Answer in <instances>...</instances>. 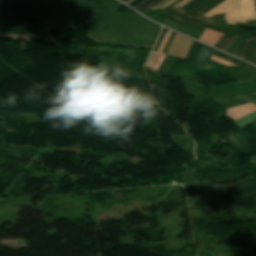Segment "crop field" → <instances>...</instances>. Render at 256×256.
<instances>
[{"label":"crop field","mask_w":256,"mask_h":256,"mask_svg":"<svg viewBox=\"0 0 256 256\" xmlns=\"http://www.w3.org/2000/svg\"><path fill=\"white\" fill-rule=\"evenodd\" d=\"M0 10L35 13L27 0H0ZM0 11V38L57 42L37 14Z\"/></svg>","instance_id":"crop-field-2"},{"label":"crop field","mask_w":256,"mask_h":256,"mask_svg":"<svg viewBox=\"0 0 256 256\" xmlns=\"http://www.w3.org/2000/svg\"><path fill=\"white\" fill-rule=\"evenodd\" d=\"M211 50H212L211 48L201 45L193 63H195L197 66H199L201 68H204V66L210 56Z\"/></svg>","instance_id":"crop-field-10"},{"label":"crop field","mask_w":256,"mask_h":256,"mask_svg":"<svg viewBox=\"0 0 256 256\" xmlns=\"http://www.w3.org/2000/svg\"><path fill=\"white\" fill-rule=\"evenodd\" d=\"M234 38H235V37H234V36H232V37H231V39L226 43V45L223 47V49H222V50H224V51H225V50L228 48V46L231 44V42L234 40Z\"/></svg>","instance_id":"crop-field-23"},{"label":"crop field","mask_w":256,"mask_h":256,"mask_svg":"<svg viewBox=\"0 0 256 256\" xmlns=\"http://www.w3.org/2000/svg\"><path fill=\"white\" fill-rule=\"evenodd\" d=\"M171 31L168 30L162 44L160 45L159 49H158V52H162L163 48H164V45L170 35ZM156 53V52H151V55L146 63V67L154 70L157 72L158 68L160 67L161 63L163 62V60L165 59L166 55L164 54H160V53ZM155 72V73H156Z\"/></svg>","instance_id":"crop-field-8"},{"label":"crop field","mask_w":256,"mask_h":256,"mask_svg":"<svg viewBox=\"0 0 256 256\" xmlns=\"http://www.w3.org/2000/svg\"><path fill=\"white\" fill-rule=\"evenodd\" d=\"M180 1H181V0L176 1L175 3H173L172 5H170L168 8H170L171 6H173L174 4H176V3L180 2Z\"/></svg>","instance_id":"crop-field-29"},{"label":"crop field","mask_w":256,"mask_h":256,"mask_svg":"<svg viewBox=\"0 0 256 256\" xmlns=\"http://www.w3.org/2000/svg\"><path fill=\"white\" fill-rule=\"evenodd\" d=\"M47 25L74 28L77 21H84L90 27L88 38L102 44H118L151 47L161 29L137 13L99 11L80 5L99 9L117 10L122 4L115 0H29Z\"/></svg>","instance_id":"crop-field-1"},{"label":"crop field","mask_w":256,"mask_h":256,"mask_svg":"<svg viewBox=\"0 0 256 256\" xmlns=\"http://www.w3.org/2000/svg\"><path fill=\"white\" fill-rule=\"evenodd\" d=\"M212 54L215 55V56H217V57H220V58H222V59H225V60H227V61L233 62V63H235V64H236V62H237L236 59H234V58H232V57H230V56H228V55H225V54H223V53H221V52H219V51H217V50H215V49L213 50Z\"/></svg>","instance_id":"crop-field-14"},{"label":"crop field","mask_w":256,"mask_h":256,"mask_svg":"<svg viewBox=\"0 0 256 256\" xmlns=\"http://www.w3.org/2000/svg\"><path fill=\"white\" fill-rule=\"evenodd\" d=\"M166 15L172 19L179 20L184 23L213 26L212 20L202 19L200 17L187 14L183 12L180 8L167 9Z\"/></svg>","instance_id":"crop-field-5"},{"label":"crop field","mask_w":256,"mask_h":256,"mask_svg":"<svg viewBox=\"0 0 256 256\" xmlns=\"http://www.w3.org/2000/svg\"><path fill=\"white\" fill-rule=\"evenodd\" d=\"M199 46H200V43L194 41L186 59H188L190 62H192L198 49H199Z\"/></svg>","instance_id":"crop-field-13"},{"label":"crop field","mask_w":256,"mask_h":256,"mask_svg":"<svg viewBox=\"0 0 256 256\" xmlns=\"http://www.w3.org/2000/svg\"><path fill=\"white\" fill-rule=\"evenodd\" d=\"M217 13H226L227 23H245L246 20H256L254 11V0H224L215 8L206 13L210 17Z\"/></svg>","instance_id":"crop-field-3"},{"label":"crop field","mask_w":256,"mask_h":256,"mask_svg":"<svg viewBox=\"0 0 256 256\" xmlns=\"http://www.w3.org/2000/svg\"><path fill=\"white\" fill-rule=\"evenodd\" d=\"M167 1H169V0H163L161 3H159L157 6H155L152 9L155 10L156 8L160 7L162 4L166 3Z\"/></svg>","instance_id":"crop-field-27"},{"label":"crop field","mask_w":256,"mask_h":256,"mask_svg":"<svg viewBox=\"0 0 256 256\" xmlns=\"http://www.w3.org/2000/svg\"><path fill=\"white\" fill-rule=\"evenodd\" d=\"M191 43L192 40L176 34L168 49L167 54L185 58L189 51Z\"/></svg>","instance_id":"crop-field-6"},{"label":"crop field","mask_w":256,"mask_h":256,"mask_svg":"<svg viewBox=\"0 0 256 256\" xmlns=\"http://www.w3.org/2000/svg\"><path fill=\"white\" fill-rule=\"evenodd\" d=\"M211 59H213V60H215V61H217V62H219V63H221V64H223L225 66L233 65V64L228 63V62H226V61H224V60H222L220 58H217L215 56H211Z\"/></svg>","instance_id":"crop-field-21"},{"label":"crop field","mask_w":256,"mask_h":256,"mask_svg":"<svg viewBox=\"0 0 256 256\" xmlns=\"http://www.w3.org/2000/svg\"><path fill=\"white\" fill-rule=\"evenodd\" d=\"M161 1L162 0H146L134 9L143 14Z\"/></svg>","instance_id":"crop-field-12"},{"label":"crop field","mask_w":256,"mask_h":256,"mask_svg":"<svg viewBox=\"0 0 256 256\" xmlns=\"http://www.w3.org/2000/svg\"><path fill=\"white\" fill-rule=\"evenodd\" d=\"M239 98H242L248 102H252L256 104V98L250 96V95H245V96H239Z\"/></svg>","instance_id":"crop-field-20"},{"label":"crop field","mask_w":256,"mask_h":256,"mask_svg":"<svg viewBox=\"0 0 256 256\" xmlns=\"http://www.w3.org/2000/svg\"><path fill=\"white\" fill-rule=\"evenodd\" d=\"M166 32H167V29L163 28V30H162V32L160 34V37H159V39H158V41H157V43H156V45H155V47L153 49L154 51H157V49H158V47H159V45H160L164 35L166 34Z\"/></svg>","instance_id":"crop-field-19"},{"label":"crop field","mask_w":256,"mask_h":256,"mask_svg":"<svg viewBox=\"0 0 256 256\" xmlns=\"http://www.w3.org/2000/svg\"><path fill=\"white\" fill-rule=\"evenodd\" d=\"M188 1H190V0H183V1H181L180 3L174 5L172 8L180 7V6H182L183 4L187 3Z\"/></svg>","instance_id":"crop-field-24"},{"label":"crop field","mask_w":256,"mask_h":256,"mask_svg":"<svg viewBox=\"0 0 256 256\" xmlns=\"http://www.w3.org/2000/svg\"><path fill=\"white\" fill-rule=\"evenodd\" d=\"M176 0H171L170 2L166 3L165 5H163L160 8H166L167 6H169L170 4H172L173 2H175ZM159 9V8H158Z\"/></svg>","instance_id":"crop-field-28"},{"label":"crop field","mask_w":256,"mask_h":256,"mask_svg":"<svg viewBox=\"0 0 256 256\" xmlns=\"http://www.w3.org/2000/svg\"><path fill=\"white\" fill-rule=\"evenodd\" d=\"M216 0L212 1L211 3H209L208 5L204 6L203 8H201L200 10H198L197 12L194 13V15L198 14L199 12L203 11L204 9H206L208 6H210L212 3H214Z\"/></svg>","instance_id":"crop-field-25"},{"label":"crop field","mask_w":256,"mask_h":256,"mask_svg":"<svg viewBox=\"0 0 256 256\" xmlns=\"http://www.w3.org/2000/svg\"><path fill=\"white\" fill-rule=\"evenodd\" d=\"M207 93L214 100H226L234 96L256 92L255 81H235L221 85L211 86Z\"/></svg>","instance_id":"crop-field-4"},{"label":"crop field","mask_w":256,"mask_h":256,"mask_svg":"<svg viewBox=\"0 0 256 256\" xmlns=\"http://www.w3.org/2000/svg\"><path fill=\"white\" fill-rule=\"evenodd\" d=\"M221 36V33H216L212 30L205 29V31L199 37V40L214 46Z\"/></svg>","instance_id":"crop-field-11"},{"label":"crop field","mask_w":256,"mask_h":256,"mask_svg":"<svg viewBox=\"0 0 256 256\" xmlns=\"http://www.w3.org/2000/svg\"><path fill=\"white\" fill-rule=\"evenodd\" d=\"M201 1H203V0H192L188 4H186L185 6L181 7V9L186 12L189 9H191L192 7H194L195 5H197L198 3H200Z\"/></svg>","instance_id":"crop-field-17"},{"label":"crop field","mask_w":256,"mask_h":256,"mask_svg":"<svg viewBox=\"0 0 256 256\" xmlns=\"http://www.w3.org/2000/svg\"><path fill=\"white\" fill-rule=\"evenodd\" d=\"M256 49V38L250 37L241 42V44L234 51V55L248 60L251 54Z\"/></svg>","instance_id":"crop-field-7"},{"label":"crop field","mask_w":256,"mask_h":256,"mask_svg":"<svg viewBox=\"0 0 256 256\" xmlns=\"http://www.w3.org/2000/svg\"><path fill=\"white\" fill-rule=\"evenodd\" d=\"M255 81H256V79H255Z\"/></svg>","instance_id":"crop-field-33"},{"label":"crop field","mask_w":256,"mask_h":256,"mask_svg":"<svg viewBox=\"0 0 256 256\" xmlns=\"http://www.w3.org/2000/svg\"><path fill=\"white\" fill-rule=\"evenodd\" d=\"M252 96L256 97L255 95H252Z\"/></svg>","instance_id":"crop-field-32"},{"label":"crop field","mask_w":256,"mask_h":256,"mask_svg":"<svg viewBox=\"0 0 256 256\" xmlns=\"http://www.w3.org/2000/svg\"><path fill=\"white\" fill-rule=\"evenodd\" d=\"M221 1H223V0H219V1L215 2V3L212 4L210 7H208L206 10H204L203 12H201L200 14H198V16L203 15V14L206 13L208 10H210L211 8H213L214 6H216L217 4H219Z\"/></svg>","instance_id":"crop-field-22"},{"label":"crop field","mask_w":256,"mask_h":256,"mask_svg":"<svg viewBox=\"0 0 256 256\" xmlns=\"http://www.w3.org/2000/svg\"><path fill=\"white\" fill-rule=\"evenodd\" d=\"M135 7V6H134ZM133 8V7H132Z\"/></svg>","instance_id":"crop-field-34"},{"label":"crop field","mask_w":256,"mask_h":256,"mask_svg":"<svg viewBox=\"0 0 256 256\" xmlns=\"http://www.w3.org/2000/svg\"><path fill=\"white\" fill-rule=\"evenodd\" d=\"M243 38L237 37L236 40L231 44V46L228 48L226 52L232 54V52L236 49V47L239 45V43L242 41Z\"/></svg>","instance_id":"crop-field-16"},{"label":"crop field","mask_w":256,"mask_h":256,"mask_svg":"<svg viewBox=\"0 0 256 256\" xmlns=\"http://www.w3.org/2000/svg\"><path fill=\"white\" fill-rule=\"evenodd\" d=\"M212 0H205L202 3H200L199 5L195 6L194 8H192L191 10H189L187 13H194L195 11H197L198 9H200L201 7H203L204 5H206L207 3L211 2Z\"/></svg>","instance_id":"crop-field-18"},{"label":"crop field","mask_w":256,"mask_h":256,"mask_svg":"<svg viewBox=\"0 0 256 256\" xmlns=\"http://www.w3.org/2000/svg\"><path fill=\"white\" fill-rule=\"evenodd\" d=\"M230 34L224 33V35L221 37V39L218 41V43L215 45V47L222 49L224 44L227 42V40L230 38Z\"/></svg>","instance_id":"crop-field-15"},{"label":"crop field","mask_w":256,"mask_h":256,"mask_svg":"<svg viewBox=\"0 0 256 256\" xmlns=\"http://www.w3.org/2000/svg\"><path fill=\"white\" fill-rule=\"evenodd\" d=\"M122 1H124V2H125V1H127V0H122Z\"/></svg>","instance_id":"crop-field-31"},{"label":"crop field","mask_w":256,"mask_h":256,"mask_svg":"<svg viewBox=\"0 0 256 256\" xmlns=\"http://www.w3.org/2000/svg\"><path fill=\"white\" fill-rule=\"evenodd\" d=\"M256 111V105L248 103L245 105L233 107L227 109V115L229 118L236 120L244 115H247L249 113H252Z\"/></svg>","instance_id":"crop-field-9"},{"label":"crop field","mask_w":256,"mask_h":256,"mask_svg":"<svg viewBox=\"0 0 256 256\" xmlns=\"http://www.w3.org/2000/svg\"><path fill=\"white\" fill-rule=\"evenodd\" d=\"M141 1H143V0H134V1L130 2L128 5H130L132 7V6L140 3Z\"/></svg>","instance_id":"crop-field-26"},{"label":"crop field","mask_w":256,"mask_h":256,"mask_svg":"<svg viewBox=\"0 0 256 256\" xmlns=\"http://www.w3.org/2000/svg\"><path fill=\"white\" fill-rule=\"evenodd\" d=\"M130 1H132V0H130ZM130 1L126 2V4L129 3Z\"/></svg>","instance_id":"crop-field-30"}]
</instances>
